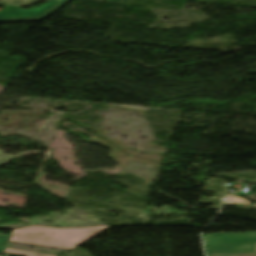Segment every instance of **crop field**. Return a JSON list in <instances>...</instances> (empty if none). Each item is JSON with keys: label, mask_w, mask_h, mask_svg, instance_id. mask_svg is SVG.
<instances>
[{"label": "crop field", "mask_w": 256, "mask_h": 256, "mask_svg": "<svg viewBox=\"0 0 256 256\" xmlns=\"http://www.w3.org/2000/svg\"><path fill=\"white\" fill-rule=\"evenodd\" d=\"M0 236L9 238L10 235L0 233Z\"/></svg>", "instance_id": "obj_5"}, {"label": "crop field", "mask_w": 256, "mask_h": 256, "mask_svg": "<svg viewBox=\"0 0 256 256\" xmlns=\"http://www.w3.org/2000/svg\"><path fill=\"white\" fill-rule=\"evenodd\" d=\"M204 241L207 256H256L254 234H209Z\"/></svg>", "instance_id": "obj_2"}, {"label": "crop field", "mask_w": 256, "mask_h": 256, "mask_svg": "<svg viewBox=\"0 0 256 256\" xmlns=\"http://www.w3.org/2000/svg\"><path fill=\"white\" fill-rule=\"evenodd\" d=\"M5 253L21 255V256H51V255L33 253V252H28V251L15 250V249H10V248H7Z\"/></svg>", "instance_id": "obj_4"}, {"label": "crop field", "mask_w": 256, "mask_h": 256, "mask_svg": "<svg viewBox=\"0 0 256 256\" xmlns=\"http://www.w3.org/2000/svg\"><path fill=\"white\" fill-rule=\"evenodd\" d=\"M70 0H51L42 7L23 10L19 7L5 5L0 11V22L42 20Z\"/></svg>", "instance_id": "obj_3"}, {"label": "crop field", "mask_w": 256, "mask_h": 256, "mask_svg": "<svg viewBox=\"0 0 256 256\" xmlns=\"http://www.w3.org/2000/svg\"><path fill=\"white\" fill-rule=\"evenodd\" d=\"M107 226L59 229L31 226L12 231L9 241L72 249Z\"/></svg>", "instance_id": "obj_1"}]
</instances>
